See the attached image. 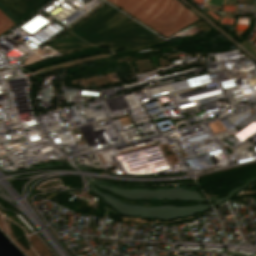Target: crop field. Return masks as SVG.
<instances>
[{"instance_id":"obj_1","label":"crop field","mask_w":256,"mask_h":256,"mask_svg":"<svg viewBox=\"0 0 256 256\" xmlns=\"http://www.w3.org/2000/svg\"><path fill=\"white\" fill-rule=\"evenodd\" d=\"M109 1L164 37L199 19L176 0Z\"/></svg>"},{"instance_id":"obj_2","label":"crop field","mask_w":256,"mask_h":256,"mask_svg":"<svg viewBox=\"0 0 256 256\" xmlns=\"http://www.w3.org/2000/svg\"><path fill=\"white\" fill-rule=\"evenodd\" d=\"M12 25H14V23L0 11V34Z\"/></svg>"}]
</instances>
